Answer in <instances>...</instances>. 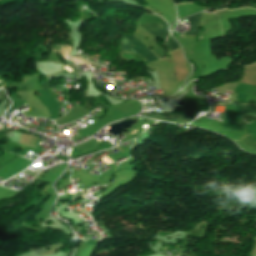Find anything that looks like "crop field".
<instances>
[{
	"mask_svg": "<svg viewBox=\"0 0 256 256\" xmlns=\"http://www.w3.org/2000/svg\"><path fill=\"white\" fill-rule=\"evenodd\" d=\"M129 45H133L134 47H130ZM119 49L120 52L138 53L146 59L147 62L158 59L150 50H148L147 46L139 41L134 35H123Z\"/></svg>",
	"mask_w": 256,
	"mask_h": 256,
	"instance_id": "1",
	"label": "crop field"
},
{
	"mask_svg": "<svg viewBox=\"0 0 256 256\" xmlns=\"http://www.w3.org/2000/svg\"><path fill=\"white\" fill-rule=\"evenodd\" d=\"M200 16L201 14L187 18L188 22L192 25V28L186 34L197 35L199 31L198 23H199ZM182 21L184 20H181L180 22Z\"/></svg>",
	"mask_w": 256,
	"mask_h": 256,
	"instance_id": "3",
	"label": "crop field"
},
{
	"mask_svg": "<svg viewBox=\"0 0 256 256\" xmlns=\"http://www.w3.org/2000/svg\"><path fill=\"white\" fill-rule=\"evenodd\" d=\"M186 4H188V3H186ZM176 5H180V4H176Z\"/></svg>",
	"mask_w": 256,
	"mask_h": 256,
	"instance_id": "5",
	"label": "crop field"
},
{
	"mask_svg": "<svg viewBox=\"0 0 256 256\" xmlns=\"http://www.w3.org/2000/svg\"><path fill=\"white\" fill-rule=\"evenodd\" d=\"M140 27L144 28L154 36L166 40L169 32L167 31L166 23H152V24H143Z\"/></svg>",
	"mask_w": 256,
	"mask_h": 256,
	"instance_id": "2",
	"label": "crop field"
},
{
	"mask_svg": "<svg viewBox=\"0 0 256 256\" xmlns=\"http://www.w3.org/2000/svg\"><path fill=\"white\" fill-rule=\"evenodd\" d=\"M167 45L170 51L178 48L177 43L171 37L168 38Z\"/></svg>",
	"mask_w": 256,
	"mask_h": 256,
	"instance_id": "4",
	"label": "crop field"
}]
</instances>
